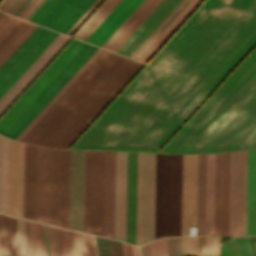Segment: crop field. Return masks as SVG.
Wrapping results in <instances>:
<instances>
[{"mask_svg": "<svg viewBox=\"0 0 256 256\" xmlns=\"http://www.w3.org/2000/svg\"><path fill=\"white\" fill-rule=\"evenodd\" d=\"M2 228H3V215L0 214V256L2 254Z\"/></svg>", "mask_w": 256, "mask_h": 256, "instance_id": "crop-field-58", "label": "crop field"}, {"mask_svg": "<svg viewBox=\"0 0 256 256\" xmlns=\"http://www.w3.org/2000/svg\"><path fill=\"white\" fill-rule=\"evenodd\" d=\"M122 0H105L73 37L85 41Z\"/></svg>", "mask_w": 256, "mask_h": 256, "instance_id": "crop-field-30", "label": "crop field"}, {"mask_svg": "<svg viewBox=\"0 0 256 256\" xmlns=\"http://www.w3.org/2000/svg\"><path fill=\"white\" fill-rule=\"evenodd\" d=\"M215 154L207 155L205 234L213 235Z\"/></svg>", "mask_w": 256, "mask_h": 256, "instance_id": "crop-field-31", "label": "crop field"}, {"mask_svg": "<svg viewBox=\"0 0 256 256\" xmlns=\"http://www.w3.org/2000/svg\"><path fill=\"white\" fill-rule=\"evenodd\" d=\"M185 0H182L174 10L164 19V21L154 30V32L145 40V42L135 51V53L131 56L133 58L138 51L149 41V39L160 29V27L171 17V15L182 5Z\"/></svg>", "mask_w": 256, "mask_h": 256, "instance_id": "crop-field-55", "label": "crop field"}, {"mask_svg": "<svg viewBox=\"0 0 256 256\" xmlns=\"http://www.w3.org/2000/svg\"><path fill=\"white\" fill-rule=\"evenodd\" d=\"M256 148V47L160 151Z\"/></svg>", "mask_w": 256, "mask_h": 256, "instance_id": "crop-field-2", "label": "crop field"}, {"mask_svg": "<svg viewBox=\"0 0 256 256\" xmlns=\"http://www.w3.org/2000/svg\"><path fill=\"white\" fill-rule=\"evenodd\" d=\"M101 2V0H97L91 7L90 9L80 18V20L71 28V30L67 33L68 35H70L74 30L75 28L88 16V14ZM91 14V13H90ZM89 14V15H90ZM80 26V25H79ZM78 26V27H79ZM77 27V28H78ZM76 28V29H77Z\"/></svg>", "mask_w": 256, "mask_h": 256, "instance_id": "crop-field-56", "label": "crop field"}, {"mask_svg": "<svg viewBox=\"0 0 256 256\" xmlns=\"http://www.w3.org/2000/svg\"><path fill=\"white\" fill-rule=\"evenodd\" d=\"M96 49L85 43L3 134L15 139Z\"/></svg>", "mask_w": 256, "mask_h": 256, "instance_id": "crop-field-5", "label": "crop field"}, {"mask_svg": "<svg viewBox=\"0 0 256 256\" xmlns=\"http://www.w3.org/2000/svg\"><path fill=\"white\" fill-rule=\"evenodd\" d=\"M74 233L79 256H98L93 236L75 231Z\"/></svg>", "mask_w": 256, "mask_h": 256, "instance_id": "crop-field-38", "label": "crop field"}, {"mask_svg": "<svg viewBox=\"0 0 256 256\" xmlns=\"http://www.w3.org/2000/svg\"><path fill=\"white\" fill-rule=\"evenodd\" d=\"M102 51L98 48L94 54L83 64V66L73 75V77L62 87V89L52 98V100L41 110V112L31 121V123L16 138L21 140L22 137L33 127V125L43 116V114L54 104V102L65 92V90L75 81V79L86 69V67L97 57Z\"/></svg>", "mask_w": 256, "mask_h": 256, "instance_id": "crop-field-35", "label": "crop field"}, {"mask_svg": "<svg viewBox=\"0 0 256 256\" xmlns=\"http://www.w3.org/2000/svg\"><path fill=\"white\" fill-rule=\"evenodd\" d=\"M58 33L48 30L24 58L0 83V98L13 85V83L24 73L44 49L54 40Z\"/></svg>", "mask_w": 256, "mask_h": 256, "instance_id": "crop-field-26", "label": "crop field"}, {"mask_svg": "<svg viewBox=\"0 0 256 256\" xmlns=\"http://www.w3.org/2000/svg\"><path fill=\"white\" fill-rule=\"evenodd\" d=\"M248 238H249L252 254H253V256H256L254 246H253V242H252V238H253L254 245H255V248H256V236H254L252 238L251 237H248ZM236 240H237V238H236ZM238 240H239V244H240V248H241L243 256H251L246 238L242 237V238H238ZM238 240H237V244H238ZM239 244H238V247H239ZM241 251H240V256H242Z\"/></svg>", "mask_w": 256, "mask_h": 256, "instance_id": "crop-field-48", "label": "crop field"}, {"mask_svg": "<svg viewBox=\"0 0 256 256\" xmlns=\"http://www.w3.org/2000/svg\"><path fill=\"white\" fill-rule=\"evenodd\" d=\"M169 254H182L181 237L169 238Z\"/></svg>", "mask_w": 256, "mask_h": 256, "instance_id": "crop-field-53", "label": "crop field"}, {"mask_svg": "<svg viewBox=\"0 0 256 256\" xmlns=\"http://www.w3.org/2000/svg\"><path fill=\"white\" fill-rule=\"evenodd\" d=\"M24 143L8 138L6 214L22 218Z\"/></svg>", "mask_w": 256, "mask_h": 256, "instance_id": "crop-field-12", "label": "crop field"}, {"mask_svg": "<svg viewBox=\"0 0 256 256\" xmlns=\"http://www.w3.org/2000/svg\"><path fill=\"white\" fill-rule=\"evenodd\" d=\"M127 246H128L129 255H130V256H133V254H132V250H131V246H130V245H128V244H127Z\"/></svg>", "mask_w": 256, "mask_h": 256, "instance_id": "crop-field-63", "label": "crop field"}, {"mask_svg": "<svg viewBox=\"0 0 256 256\" xmlns=\"http://www.w3.org/2000/svg\"><path fill=\"white\" fill-rule=\"evenodd\" d=\"M48 148L37 146L36 220L46 223Z\"/></svg>", "mask_w": 256, "mask_h": 256, "instance_id": "crop-field-27", "label": "crop field"}, {"mask_svg": "<svg viewBox=\"0 0 256 256\" xmlns=\"http://www.w3.org/2000/svg\"><path fill=\"white\" fill-rule=\"evenodd\" d=\"M69 150L53 148L51 224L67 228Z\"/></svg>", "mask_w": 256, "mask_h": 256, "instance_id": "crop-field-11", "label": "crop field"}, {"mask_svg": "<svg viewBox=\"0 0 256 256\" xmlns=\"http://www.w3.org/2000/svg\"><path fill=\"white\" fill-rule=\"evenodd\" d=\"M224 245H225V243H224ZM223 245H222V247H221V256H224V253H225V256H227V254H226V245H225V248H224V253H223Z\"/></svg>", "mask_w": 256, "mask_h": 256, "instance_id": "crop-field-61", "label": "crop field"}, {"mask_svg": "<svg viewBox=\"0 0 256 256\" xmlns=\"http://www.w3.org/2000/svg\"><path fill=\"white\" fill-rule=\"evenodd\" d=\"M7 138L0 135V212L5 214Z\"/></svg>", "mask_w": 256, "mask_h": 256, "instance_id": "crop-field-37", "label": "crop field"}, {"mask_svg": "<svg viewBox=\"0 0 256 256\" xmlns=\"http://www.w3.org/2000/svg\"><path fill=\"white\" fill-rule=\"evenodd\" d=\"M32 256H47L42 227L33 223Z\"/></svg>", "mask_w": 256, "mask_h": 256, "instance_id": "crop-field-40", "label": "crop field"}, {"mask_svg": "<svg viewBox=\"0 0 256 256\" xmlns=\"http://www.w3.org/2000/svg\"><path fill=\"white\" fill-rule=\"evenodd\" d=\"M199 256H206L205 236L198 237Z\"/></svg>", "mask_w": 256, "mask_h": 256, "instance_id": "crop-field-57", "label": "crop field"}, {"mask_svg": "<svg viewBox=\"0 0 256 256\" xmlns=\"http://www.w3.org/2000/svg\"><path fill=\"white\" fill-rule=\"evenodd\" d=\"M256 234V149L248 150L246 235Z\"/></svg>", "mask_w": 256, "mask_h": 256, "instance_id": "crop-field-29", "label": "crop field"}, {"mask_svg": "<svg viewBox=\"0 0 256 256\" xmlns=\"http://www.w3.org/2000/svg\"><path fill=\"white\" fill-rule=\"evenodd\" d=\"M147 245L151 256H167L168 254V238H160Z\"/></svg>", "mask_w": 256, "mask_h": 256, "instance_id": "crop-field-42", "label": "crop field"}, {"mask_svg": "<svg viewBox=\"0 0 256 256\" xmlns=\"http://www.w3.org/2000/svg\"><path fill=\"white\" fill-rule=\"evenodd\" d=\"M183 254L198 256L197 237H182Z\"/></svg>", "mask_w": 256, "mask_h": 256, "instance_id": "crop-field-46", "label": "crop field"}, {"mask_svg": "<svg viewBox=\"0 0 256 256\" xmlns=\"http://www.w3.org/2000/svg\"><path fill=\"white\" fill-rule=\"evenodd\" d=\"M207 256H219V237L206 236Z\"/></svg>", "mask_w": 256, "mask_h": 256, "instance_id": "crop-field-49", "label": "crop field"}, {"mask_svg": "<svg viewBox=\"0 0 256 256\" xmlns=\"http://www.w3.org/2000/svg\"><path fill=\"white\" fill-rule=\"evenodd\" d=\"M37 27L5 14L0 19V66Z\"/></svg>", "mask_w": 256, "mask_h": 256, "instance_id": "crop-field-19", "label": "crop field"}, {"mask_svg": "<svg viewBox=\"0 0 256 256\" xmlns=\"http://www.w3.org/2000/svg\"><path fill=\"white\" fill-rule=\"evenodd\" d=\"M124 59L103 50L21 141L46 146Z\"/></svg>", "mask_w": 256, "mask_h": 256, "instance_id": "crop-field-3", "label": "crop field"}, {"mask_svg": "<svg viewBox=\"0 0 256 256\" xmlns=\"http://www.w3.org/2000/svg\"><path fill=\"white\" fill-rule=\"evenodd\" d=\"M74 0H46L29 21L49 28ZM96 0H75L50 29L66 34Z\"/></svg>", "mask_w": 256, "mask_h": 256, "instance_id": "crop-field-8", "label": "crop field"}, {"mask_svg": "<svg viewBox=\"0 0 256 256\" xmlns=\"http://www.w3.org/2000/svg\"><path fill=\"white\" fill-rule=\"evenodd\" d=\"M25 220L17 218L16 256H24Z\"/></svg>", "mask_w": 256, "mask_h": 256, "instance_id": "crop-field-43", "label": "crop field"}, {"mask_svg": "<svg viewBox=\"0 0 256 256\" xmlns=\"http://www.w3.org/2000/svg\"><path fill=\"white\" fill-rule=\"evenodd\" d=\"M16 218L4 215L3 255L15 256Z\"/></svg>", "mask_w": 256, "mask_h": 256, "instance_id": "crop-field-36", "label": "crop field"}, {"mask_svg": "<svg viewBox=\"0 0 256 256\" xmlns=\"http://www.w3.org/2000/svg\"><path fill=\"white\" fill-rule=\"evenodd\" d=\"M182 155L157 154L155 239L180 235Z\"/></svg>", "mask_w": 256, "mask_h": 256, "instance_id": "crop-field-4", "label": "crop field"}, {"mask_svg": "<svg viewBox=\"0 0 256 256\" xmlns=\"http://www.w3.org/2000/svg\"><path fill=\"white\" fill-rule=\"evenodd\" d=\"M247 150L230 153L228 236L245 235Z\"/></svg>", "mask_w": 256, "mask_h": 256, "instance_id": "crop-field-6", "label": "crop field"}, {"mask_svg": "<svg viewBox=\"0 0 256 256\" xmlns=\"http://www.w3.org/2000/svg\"><path fill=\"white\" fill-rule=\"evenodd\" d=\"M200 1L201 0H192L138 60L145 63L149 57L159 48V46L168 38V36L178 27V25L188 16V14L198 5Z\"/></svg>", "mask_w": 256, "mask_h": 256, "instance_id": "crop-field-33", "label": "crop field"}, {"mask_svg": "<svg viewBox=\"0 0 256 256\" xmlns=\"http://www.w3.org/2000/svg\"><path fill=\"white\" fill-rule=\"evenodd\" d=\"M160 1L161 0H144L106 41L102 48L115 52Z\"/></svg>", "mask_w": 256, "mask_h": 256, "instance_id": "crop-field-21", "label": "crop field"}, {"mask_svg": "<svg viewBox=\"0 0 256 256\" xmlns=\"http://www.w3.org/2000/svg\"><path fill=\"white\" fill-rule=\"evenodd\" d=\"M229 153L216 154L214 235L227 236Z\"/></svg>", "mask_w": 256, "mask_h": 256, "instance_id": "crop-field-16", "label": "crop field"}, {"mask_svg": "<svg viewBox=\"0 0 256 256\" xmlns=\"http://www.w3.org/2000/svg\"><path fill=\"white\" fill-rule=\"evenodd\" d=\"M256 44V0H207L73 148L157 152Z\"/></svg>", "mask_w": 256, "mask_h": 256, "instance_id": "crop-field-1", "label": "crop field"}, {"mask_svg": "<svg viewBox=\"0 0 256 256\" xmlns=\"http://www.w3.org/2000/svg\"><path fill=\"white\" fill-rule=\"evenodd\" d=\"M140 251H141L142 256H150V253H149V250H148L146 244H145V245H142V246L140 247Z\"/></svg>", "mask_w": 256, "mask_h": 256, "instance_id": "crop-field-59", "label": "crop field"}, {"mask_svg": "<svg viewBox=\"0 0 256 256\" xmlns=\"http://www.w3.org/2000/svg\"><path fill=\"white\" fill-rule=\"evenodd\" d=\"M27 0H4L0 10L14 15Z\"/></svg>", "mask_w": 256, "mask_h": 256, "instance_id": "crop-field-47", "label": "crop field"}, {"mask_svg": "<svg viewBox=\"0 0 256 256\" xmlns=\"http://www.w3.org/2000/svg\"><path fill=\"white\" fill-rule=\"evenodd\" d=\"M31 245H32V222L26 220L25 256H31Z\"/></svg>", "mask_w": 256, "mask_h": 256, "instance_id": "crop-field-51", "label": "crop field"}, {"mask_svg": "<svg viewBox=\"0 0 256 256\" xmlns=\"http://www.w3.org/2000/svg\"><path fill=\"white\" fill-rule=\"evenodd\" d=\"M29 1V0H28ZM28 1L19 9V11L28 3ZM18 11V12H19ZM18 12L15 14V16L18 14Z\"/></svg>", "mask_w": 256, "mask_h": 256, "instance_id": "crop-field-64", "label": "crop field"}, {"mask_svg": "<svg viewBox=\"0 0 256 256\" xmlns=\"http://www.w3.org/2000/svg\"><path fill=\"white\" fill-rule=\"evenodd\" d=\"M191 0H186L183 5L172 15V17L161 27V29L150 39V41L133 58L137 60L142 53L153 43V41L164 31V29L175 19V17L187 6Z\"/></svg>", "mask_w": 256, "mask_h": 256, "instance_id": "crop-field-44", "label": "crop field"}, {"mask_svg": "<svg viewBox=\"0 0 256 256\" xmlns=\"http://www.w3.org/2000/svg\"><path fill=\"white\" fill-rule=\"evenodd\" d=\"M52 148H49L47 223L50 224Z\"/></svg>", "mask_w": 256, "mask_h": 256, "instance_id": "crop-field-50", "label": "crop field"}, {"mask_svg": "<svg viewBox=\"0 0 256 256\" xmlns=\"http://www.w3.org/2000/svg\"><path fill=\"white\" fill-rule=\"evenodd\" d=\"M107 241H108L110 256H124L122 245L120 242L109 240V239H107Z\"/></svg>", "mask_w": 256, "mask_h": 256, "instance_id": "crop-field-54", "label": "crop field"}, {"mask_svg": "<svg viewBox=\"0 0 256 256\" xmlns=\"http://www.w3.org/2000/svg\"><path fill=\"white\" fill-rule=\"evenodd\" d=\"M51 256H65L60 230L58 227L46 225Z\"/></svg>", "mask_w": 256, "mask_h": 256, "instance_id": "crop-field-39", "label": "crop field"}, {"mask_svg": "<svg viewBox=\"0 0 256 256\" xmlns=\"http://www.w3.org/2000/svg\"><path fill=\"white\" fill-rule=\"evenodd\" d=\"M132 246V245H131ZM134 256H140L138 247L132 246Z\"/></svg>", "mask_w": 256, "mask_h": 256, "instance_id": "crop-field-60", "label": "crop field"}, {"mask_svg": "<svg viewBox=\"0 0 256 256\" xmlns=\"http://www.w3.org/2000/svg\"><path fill=\"white\" fill-rule=\"evenodd\" d=\"M142 0H123L102 24L86 40L91 44L101 47L107 38L129 16Z\"/></svg>", "mask_w": 256, "mask_h": 256, "instance_id": "crop-field-22", "label": "crop field"}, {"mask_svg": "<svg viewBox=\"0 0 256 256\" xmlns=\"http://www.w3.org/2000/svg\"><path fill=\"white\" fill-rule=\"evenodd\" d=\"M46 31L47 29L38 26L33 31V33L22 43V45L10 56V58L0 67V82Z\"/></svg>", "mask_w": 256, "mask_h": 256, "instance_id": "crop-field-32", "label": "crop field"}, {"mask_svg": "<svg viewBox=\"0 0 256 256\" xmlns=\"http://www.w3.org/2000/svg\"><path fill=\"white\" fill-rule=\"evenodd\" d=\"M61 235L63 239L66 256H78L74 233L71 230L62 229Z\"/></svg>", "mask_w": 256, "mask_h": 256, "instance_id": "crop-field-41", "label": "crop field"}, {"mask_svg": "<svg viewBox=\"0 0 256 256\" xmlns=\"http://www.w3.org/2000/svg\"><path fill=\"white\" fill-rule=\"evenodd\" d=\"M42 0H30V2L21 10L17 17L26 19L30 13L41 3Z\"/></svg>", "mask_w": 256, "mask_h": 256, "instance_id": "crop-field-52", "label": "crop field"}, {"mask_svg": "<svg viewBox=\"0 0 256 256\" xmlns=\"http://www.w3.org/2000/svg\"><path fill=\"white\" fill-rule=\"evenodd\" d=\"M36 146L25 143L23 218L35 220Z\"/></svg>", "mask_w": 256, "mask_h": 256, "instance_id": "crop-field-23", "label": "crop field"}, {"mask_svg": "<svg viewBox=\"0 0 256 256\" xmlns=\"http://www.w3.org/2000/svg\"><path fill=\"white\" fill-rule=\"evenodd\" d=\"M103 151H86L84 232L101 236Z\"/></svg>", "mask_w": 256, "mask_h": 256, "instance_id": "crop-field-7", "label": "crop field"}, {"mask_svg": "<svg viewBox=\"0 0 256 256\" xmlns=\"http://www.w3.org/2000/svg\"><path fill=\"white\" fill-rule=\"evenodd\" d=\"M132 60L126 58L122 64L112 73V75L102 84V86L92 95V97L81 107V109L71 118V120L61 129V131L47 145L55 147L58 142L69 132V130L79 121V119L89 110L98 98L108 89V87L118 78V76L128 67Z\"/></svg>", "mask_w": 256, "mask_h": 256, "instance_id": "crop-field-28", "label": "crop field"}, {"mask_svg": "<svg viewBox=\"0 0 256 256\" xmlns=\"http://www.w3.org/2000/svg\"><path fill=\"white\" fill-rule=\"evenodd\" d=\"M127 152L115 151L113 238L125 241Z\"/></svg>", "mask_w": 256, "mask_h": 256, "instance_id": "crop-field-17", "label": "crop field"}, {"mask_svg": "<svg viewBox=\"0 0 256 256\" xmlns=\"http://www.w3.org/2000/svg\"><path fill=\"white\" fill-rule=\"evenodd\" d=\"M137 152H128L126 241L135 244Z\"/></svg>", "mask_w": 256, "mask_h": 256, "instance_id": "crop-field-25", "label": "crop field"}, {"mask_svg": "<svg viewBox=\"0 0 256 256\" xmlns=\"http://www.w3.org/2000/svg\"><path fill=\"white\" fill-rule=\"evenodd\" d=\"M85 151L70 150L68 228L83 232Z\"/></svg>", "mask_w": 256, "mask_h": 256, "instance_id": "crop-field-13", "label": "crop field"}, {"mask_svg": "<svg viewBox=\"0 0 256 256\" xmlns=\"http://www.w3.org/2000/svg\"><path fill=\"white\" fill-rule=\"evenodd\" d=\"M114 151H104L102 236L112 238Z\"/></svg>", "mask_w": 256, "mask_h": 256, "instance_id": "crop-field-24", "label": "crop field"}, {"mask_svg": "<svg viewBox=\"0 0 256 256\" xmlns=\"http://www.w3.org/2000/svg\"><path fill=\"white\" fill-rule=\"evenodd\" d=\"M181 0H162L116 53L130 57Z\"/></svg>", "mask_w": 256, "mask_h": 256, "instance_id": "crop-field-20", "label": "crop field"}, {"mask_svg": "<svg viewBox=\"0 0 256 256\" xmlns=\"http://www.w3.org/2000/svg\"><path fill=\"white\" fill-rule=\"evenodd\" d=\"M70 37L59 34L25 73L14 83V85L0 99V115L45 67V65L66 44Z\"/></svg>", "mask_w": 256, "mask_h": 256, "instance_id": "crop-field-18", "label": "crop field"}, {"mask_svg": "<svg viewBox=\"0 0 256 256\" xmlns=\"http://www.w3.org/2000/svg\"><path fill=\"white\" fill-rule=\"evenodd\" d=\"M84 42L73 39L68 46L56 57V59L44 70L33 84L21 95V97L0 118V133L17 118L27 105L38 95L48 82L59 72L69 59L80 49Z\"/></svg>", "mask_w": 256, "mask_h": 256, "instance_id": "crop-field-9", "label": "crop field"}, {"mask_svg": "<svg viewBox=\"0 0 256 256\" xmlns=\"http://www.w3.org/2000/svg\"><path fill=\"white\" fill-rule=\"evenodd\" d=\"M3 15H4V13H1V12H0V18H1Z\"/></svg>", "mask_w": 256, "mask_h": 256, "instance_id": "crop-field-65", "label": "crop field"}, {"mask_svg": "<svg viewBox=\"0 0 256 256\" xmlns=\"http://www.w3.org/2000/svg\"><path fill=\"white\" fill-rule=\"evenodd\" d=\"M122 245H123V249H124L125 256H128V251H127V246H126V244L122 243Z\"/></svg>", "mask_w": 256, "mask_h": 256, "instance_id": "crop-field-62", "label": "crop field"}, {"mask_svg": "<svg viewBox=\"0 0 256 256\" xmlns=\"http://www.w3.org/2000/svg\"><path fill=\"white\" fill-rule=\"evenodd\" d=\"M156 154L142 152L140 244L154 239Z\"/></svg>", "mask_w": 256, "mask_h": 256, "instance_id": "crop-field-10", "label": "crop field"}, {"mask_svg": "<svg viewBox=\"0 0 256 256\" xmlns=\"http://www.w3.org/2000/svg\"><path fill=\"white\" fill-rule=\"evenodd\" d=\"M198 155H183L181 235L196 227Z\"/></svg>", "mask_w": 256, "mask_h": 256, "instance_id": "crop-field-14", "label": "crop field"}, {"mask_svg": "<svg viewBox=\"0 0 256 256\" xmlns=\"http://www.w3.org/2000/svg\"><path fill=\"white\" fill-rule=\"evenodd\" d=\"M141 152H138L136 244L139 245Z\"/></svg>", "mask_w": 256, "mask_h": 256, "instance_id": "crop-field-45", "label": "crop field"}, {"mask_svg": "<svg viewBox=\"0 0 256 256\" xmlns=\"http://www.w3.org/2000/svg\"><path fill=\"white\" fill-rule=\"evenodd\" d=\"M206 155H199L197 235L204 234Z\"/></svg>", "mask_w": 256, "mask_h": 256, "instance_id": "crop-field-34", "label": "crop field"}, {"mask_svg": "<svg viewBox=\"0 0 256 256\" xmlns=\"http://www.w3.org/2000/svg\"><path fill=\"white\" fill-rule=\"evenodd\" d=\"M142 66L133 61L56 147L68 148Z\"/></svg>", "mask_w": 256, "mask_h": 256, "instance_id": "crop-field-15", "label": "crop field"}]
</instances>
